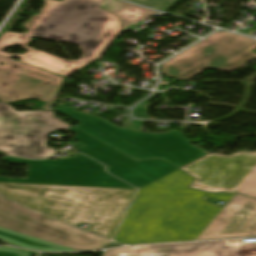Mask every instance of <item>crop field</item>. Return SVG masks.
<instances>
[{
  "label": "crop field",
  "mask_w": 256,
  "mask_h": 256,
  "mask_svg": "<svg viewBox=\"0 0 256 256\" xmlns=\"http://www.w3.org/2000/svg\"><path fill=\"white\" fill-rule=\"evenodd\" d=\"M43 1L40 13L24 25L26 34L5 32L0 36V55L16 56L21 62L67 77L100 58L123 31L118 17L98 7L103 0ZM31 37L75 43L84 54L77 61H66L26 46ZM18 44L28 52H2L5 47Z\"/></svg>",
  "instance_id": "crop-field-1"
},
{
  "label": "crop field",
  "mask_w": 256,
  "mask_h": 256,
  "mask_svg": "<svg viewBox=\"0 0 256 256\" xmlns=\"http://www.w3.org/2000/svg\"><path fill=\"white\" fill-rule=\"evenodd\" d=\"M191 181L178 169L140 188L114 240L124 244L194 240L221 209L204 200L227 203L233 194L186 188Z\"/></svg>",
  "instance_id": "crop-field-2"
},
{
  "label": "crop field",
  "mask_w": 256,
  "mask_h": 256,
  "mask_svg": "<svg viewBox=\"0 0 256 256\" xmlns=\"http://www.w3.org/2000/svg\"><path fill=\"white\" fill-rule=\"evenodd\" d=\"M135 189L0 183V195L111 239Z\"/></svg>",
  "instance_id": "crop-field-3"
},
{
  "label": "crop field",
  "mask_w": 256,
  "mask_h": 256,
  "mask_svg": "<svg viewBox=\"0 0 256 256\" xmlns=\"http://www.w3.org/2000/svg\"><path fill=\"white\" fill-rule=\"evenodd\" d=\"M56 110L81 123L77 128L140 160L163 158L179 168L206 155L177 131L168 134L140 133L120 129L95 116L79 113L60 103Z\"/></svg>",
  "instance_id": "crop-field-4"
},
{
  "label": "crop field",
  "mask_w": 256,
  "mask_h": 256,
  "mask_svg": "<svg viewBox=\"0 0 256 256\" xmlns=\"http://www.w3.org/2000/svg\"><path fill=\"white\" fill-rule=\"evenodd\" d=\"M73 127L57 120L53 112H16L0 102V151L11 156L42 159L58 152L45 147L47 135L57 129Z\"/></svg>",
  "instance_id": "crop-field-5"
},
{
  "label": "crop field",
  "mask_w": 256,
  "mask_h": 256,
  "mask_svg": "<svg viewBox=\"0 0 256 256\" xmlns=\"http://www.w3.org/2000/svg\"><path fill=\"white\" fill-rule=\"evenodd\" d=\"M1 161L28 163V169L27 179L0 177V182L133 188L106 174L103 165L79 153L56 161H29L8 156Z\"/></svg>",
  "instance_id": "crop-field-6"
},
{
  "label": "crop field",
  "mask_w": 256,
  "mask_h": 256,
  "mask_svg": "<svg viewBox=\"0 0 256 256\" xmlns=\"http://www.w3.org/2000/svg\"><path fill=\"white\" fill-rule=\"evenodd\" d=\"M0 227L77 251L100 249L112 242L29 211L2 197Z\"/></svg>",
  "instance_id": "crop-field-7"
},
{
  "label": "crop field",
  "mask_w": 256,
  "mask_h": 256,
  "mask_svg": "<svg viewBox=\"0 0 256 256\" xmlns=\"http://www.w3.org/2000/svg\"><path fill=\"white\" fill-rule=\"evenodd\" d=\"M0 62V101L33 99L52 110L65 78L2 56Z\"/></svg>",
  "instance_id": "crop-field-8"
},
{
  "label": "crop field",
  "mask_w": 256,
  "mask_h": 256,
  "mask_svg": "<svg viewBox=\"0 0 256 256\" xmlns=\"http://www.w3.org/2000/svg\"><path fill=\"white\" fill-rule=\"evenodd\" d=\"M195 177L193 188L212 192H237L256 170V153L231 156L208 154L182 168Z\"/></svg>",
  "instance_id": "crop-field-9"
},
{
  "label": "crop field",
  "mask_w": 256,
  "mask_h": 256,
  "mask_svg": "<svg viewBox=\"0 0 256 256\" xmlns=\"http://www.w3.org/2000/svg\"><path fill=\"white\" fill-rule=\"evenodd\" d=\"M255 42L219 31L162 64L163 73L180 80L189 79L206 68L212 69Z\"/></svg>",
  "instance_id": "crop-field-10"
},
{
  "label": "crop field",
  "mask_w": 256,
  "mask_h": 256,
  "mask_svg": "<svg viewBox=\"0 0 256 256\" xmlns=\"http://www.w3.org/2000/svg\"><path fill=\"white\" fill-rule=\"evenodd\" d=\"M69 131L75 133L74 139L85 146L79 151L109 165V173L138 188L177 169L162 159L137 162L75 128Z\"/></svg>",
  "instance_id": "crop-field-11"
},
{
  "label": "crop field",
  "mask_w": 256,
  "mask_h": 256,
  "mask_svg": "<svg viewBox=\"0 0 256 256\" xmlns=\"http://www.w3.org/2000/svg\"><path fill=\"white\" fill-rule=\"evenodd\" d=\"M105 256H256V244L247 246L240 239L126 247L106 251Z\"/></svg>",
  "instance_id": "crop-field-12"
},
{
  "label": "crop field",
  "mask_w": 256,
  "mask_h": 256,
  "mask_svg": "<svg viewBox=\"0 0 256 256\" xmlns=\"http://www.w3.org/2000/svg\"><path fill=\"white\" fill-rule=\"evenodd\" d=\"M256 236V200L235 194L198 240Z\"/></svg>",
  "instance_id": "crop-field-13"
},
{
  "label": "crop field",
  "mask_w": 256,
  "mask_h": 256,
  "mask_svg": "<svg viewBox=\"0 0 256 256\" xmlns=\"http://www.w3.org/2000/svg\"><path fill=\"white\" fill-rule=\"evenodd\" d=\"M101 8L119 17L124 30L156 11L148 10L130 3L119 0H104L100 5Z\"/></svg>",
  "instance_id": "crop-field-14"
},
{
  "label": "crop field",
  "mask_w": 256,
  "mask_h": 256,
  "mask_svg": "<svg viewBox=\"0 0 256 256\" xmlns=\"http://www.w3.org/2000/svg\"><path fill=\"white\" fill-rule=\"evenodd\" d=\"M0 239H2L4 242L32 250L74 251L3 228H0Z\"/></svg>",
  "instance_id": "crop-field-15"
},
{
  "label": "crop field",
  "mask_w": 256,
  "mask_h": 256,
  "mask_svg": "<svg viewBox=\"0 0 256 256\" xmlns=\"http://www.w3.org/2000/svg\"><path fill=\"white\" fill-rule=\"evenodd\" d=\"M144 6H148L157 10H161L166 12L170 9L174 4L178 2V0H129Z\"/></svg>",
  "instance_id": "crop-field-16"
},
{
  "label": "crop field",
  "mask_w": 256,
  "mask_h": 256,
  "mask_svg": "<svg viewBox=\"0 0 256 256\" xmlns=\"http://www.w3.org/2000/svg\"><path fill=\"white\" fill-rule=\"evenodd\" d=\"M238 193L250 195L256 197V171L248 179V181L241 187Z\"/></svg>",
  "instance_id": "crop-field-17"
},
{
  "label": "crop field",
  "mask_w": 256,
  "mask_h": 256,
  "mask_svg": "<svg viewBox=\"0 0 256 256\" xmlns=\"http://www.w3.org/2000/svg\"><path fill=\"white\" fill-rule=\"evenodd\" d=\"M34 253L33 251L0 247V256H31Z\"/></svg>",
  "instance_id": "crop-field-18"
}]
</instances>
